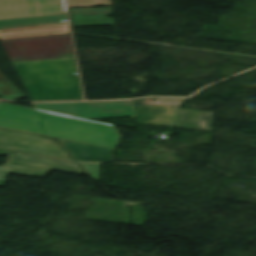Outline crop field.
Returning <instances> with one entry per match:
<instances>
[{"label":"crop field","mask_w":256,"mask_h":256,"mask_svg":"<svg viewBox=\"0 0 256 256\" xmlns=\"http://www.w3.org/2000/svg\"><path fill=\"white\" fill-rule=\"evenodd\" d=\"M68 5L69 7L92 5L110 6L112 5V2L111 0H68Z\"/></svg>","instance_id":"obj_9"},{"label":"crop field","mask_w":256,"mask_h":256,"mask_svg":"<svg viewBox=\"0 0 256 256\" xmlns=\"http://www.w3.org/2000/svg\"><path fill=\"white\" fill-rule=\"evenodd\" d=\"M79 161L112 162L111 149L59 139Z\"/></svg>","instance_id":"obj_7"},{"label":"crop field","mask_w":256,"mask_h":256,"mask_svg":"<svg viewBox=\"0 0 256 256\" xmlns=\"http://www.w3.org/2000/svg\"><path fill=\"white\" fill-rule=\"evenodd\" d=\"M183 99L132 100L137 123L211 130L214 113L176 109Z\"/></svg>","instance_id":"obj_2"},{"label":"crop field","mask_w":256,"mask_h":256,"mask_svg":"<svg viewBox=\"0 0 256 256\" xmlns=\"http://www.w3.org/2000/svg\"><path fill=\"white\" fill-rule=\"evenodd\" d=\"M2 43L33 101L83 100L69 34Z\"/></svg>","instance_id":"obj_1"},{"label":"crop field","mask_w":256,"mask_h":256,"mask_svg":"<svg viewBox=\"0 0 256 256\" xmlns=\"http://www.w3.org/2000/svg\"><path fill=\"white\" fill-rule=\"evenodd\" d=\"M16 153L75 161L54 139L0 129V155Z\"/></svg>","instance_id":"obj_3"},{"label":"crop field","mask_w":256,"mask_h":256,"mask_svg":"<svg viewBox=\"0 0 256 256\" xmlns=\"http://www.w3.org/2000/svg\"><path fill=\"white\" fill-rule=\"evenodd\" d=\"M86 172L90 174L94 179H99L101 164L82 163Z\"/></svg>","instance_id":"obj_10"},{"label":"crop field","mask_w":256,"mask_h":256,"mask_svg":"<svg viewBox=\"0 0 256 256\" xmlns=\"http://www.w3.org/2000/svg\"><path fill=\"white\" fill-rule=\"evenodd\" d=\"M69 9L73 26L116 25L113 18L106 16L113 14L112 7Z\"/></svg>","instance_id":"obj_6"},{"label":"crop field","mask_w":256,"mask_h":256,"mask_svg":"<svg viewBox=\"0 0 256 256\" xmlns=\"http://www.w3.org/2000/svg\"><path fill=\"white\" fill-rule=\"evenodd\" d=\"M96 118L134 116L133 109L94 112Z\"/></svg>","instance_id":"obj_8"},{"label":"crop field","mask_w":256,"mask_h":256,"mask_svg":"<svg viewBox=\"0 0 256 256\" xmlns=\"http://www.w3.org/2000/svg\"><path fill=\"white\" fill-rule=\"evenodd\" d=\"M36 109L82 118H95L92 111L133 108L131 101L37 103Z\"/></svg>","instance_id":"obj_5"},{"label":"crop field","mask_w":256,"mask_h":256,"mask_svg":"<svg viewBox=\"0 0 256 256\" xmlns=\"http://www.w3.org/2000/svg\"><path fill=\"white\" fill-rule=\"evenodd\" d=\"M51 170L84 174L78 163L19 155L0 167V186L5 185L9 173L44 178Z\"/></svg>","instance_id":"obj_4"}]
</instances>
